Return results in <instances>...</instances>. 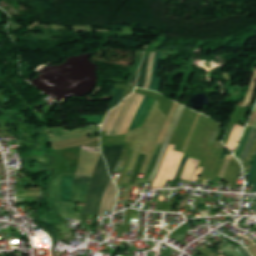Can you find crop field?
<instances>
[{"label": "crop field", "mask_w": 256, "mask_h": 256, "mask_svg": "<svg viewBox=\"0 0 256 256\" xmlns=\"http://www.w3.org/2000/svg\"><path fill=\"white\" fill-rule=\"evenodd\" d=\"M90 179L91 178L89 177L75 176L71 202L84 201ZM109 181L110 178L107 174L106 163L101 155L94 170L84 201L87 205L83 208L82 213L98 216L102 196Z\"/></svg>", "instance_id": "crop-field-1"}, {"label": "crop field", "mask_w": 256, "mask_h": 256, "mask_svg": "<svg viewBox=\"0 0 256 256\" xmlns=\"http://www.w3.org/2000/svg\"><path fill=\"white\" fill-rule=\"evenodd\" d=\"M143 97L142 95L134 93L117 108L109 112L102 127V130L107 131L106 135H121L127 133Z\"/></svg>", "instance_id": "crop-field-2"}, {"label": "crop field", "mask_w": 256, "mask_h": 256, "mask_svg": "<svg viewBox=\"0 0 256 256\" xmlns=\"http://www.w3.org/2000/svg\"><path fill=\"white\" fill-rule=\"evenodd\" d=\"M60 187H61V176H58L51 182V188H50V198H51V201L54 203L58 213L60 214L61 218L79 219L80 214L75 212L73 204L61 203Z\"/></svg>", "instance_id": "crop-field-3"}, {"label": "crop field", "mask_w": 256, "mask_h": 256, "mask_svg": "<svg viewBox=\"0 0 256 256\" xmlns=\"http://www.w3.org/2000/svg\"><path fill=\"white\" fill-rule=\"evenodd\" d=\"M117 190L116 187L111 180L104 196H103V201L101 205V210L99 215H103V213L108 210V211H113L114 204H115V198H116Z\"/></svg>", "instance_id": "crop-field-4"}, {"label": "crop field", "mask_w": 256, "mask_h": 256, "mask_svg": "<svg viewBox=\"0 0 256 256\" xmlns=\"http://www.w3.org/2000/svg\"><path fill=\"white\" fill-rule=\"evenodd\" d=\"M123 146H113V147H105L103 155L108 163L109 173L112 176V173L118 163L119 157L121 155Z\"/></svg>", "instance_id": "crop-field-5"}, {"label": "crop field", "mask_w": 256, "mask_h": 256, "mask_svg": "<svg viewBox=\"0 0 256 256\" xmlns=\"http://www.w3.org/2000/svg\"><path fill=\"white\" fill-rule=\"evenodd\" d=\"M162 54L163 53H156L154 67H153L152 80H151V84H150V88H149L150 90L157 91V92L160 91V87H161V83H162V79H157Z\"/></svg>", "instance_id": "crop-field-6"}, {"label": "crop field", "mask_w": 256, "mask_h": 256, "mask_svg": "<svg viewBox=\"0 0 256 256\" xmlns=\"http://www.w3.org/2000/svg\"><path fill=\"white\" fill-rule=\"evenodd\" d=\"M73 178H62V201L70 202L71 200Z\"/></svg>", "instance_id": "crop-field-7"}, {"label": "crop field", "mask_w": 256, "mask_h": 256, "mask_svg": "<svg viewBox=\"0 0 256 256\" xmlns=\"http://www.w3.org/2000/svg\"><path fill=\"white\" fill-rule=\"evenodd\" d=\"M255 136H256V129L253 128L250 135H249L246 146H245V148H244V150H243V152H242V154L239 158L242 165H243V163H244V161H245V159H246V157H247V155H248V153H249V151L252 147V143H253V140H254Z\"/></svg>", "instance_id": "crop-field-8"}, {"label": "crop field", "mask_w": 256, "mask_h": 256, "mask_svg": "<svg viewBox=\"0 0 256 256\" xmlns=\"http://www.w3.org/2000/svg\"><path fill=\"white\" fill-rule=\"evenodd\" d=\"M148 57H149V53H145V58H144V61L142 63V66H141L137 87H141L142 88L143 85H144L146 69H147V65H148Z\"/></svg>", "instance_id": "crop-field-9"}, {"label": "crop field", "mask_w": 256, "mask_h": 256, "mask_svg": "<svg viewBox=\"0 0 256 256\" xmlns=\"http://www.w3.org/2000/svg\"><path fill=\"white\" fill-rule=\"evenodd\" d=\"M161 145H162V144H159V145L156 146L154 155H153V157H152V159H151V162H150V164H149V167H148V169H147V172H146V174H145V176H144V179H143V182H142V183H146V182H147V180H148V178H149V176H150V174H151V171H152V169H153V167H154V165H155V163H156L157 156H158L159 150H160V148H161Z\"/></svg>", "instance_id": "crop-field-10"}, {"label": "crop field", "mask_w": 256, "mask_h": 256, "mask_svg": "<svg viewBox=\"0 0 256 256\" xmlns=\"http://www.w3.org/2000/svg\"><path fill=\"white\" fill-rule=\"evenodd\" d=\"M142 56H143V53H138L134 68L131 73V79H130L129 85L135 86V81H136V77H137V73H138L140 63H141Z\"/></svg>", "instance_id": "crop-field-11"}, {"label": "crop field", "mask_w": 256, "mask_h": 256, "mask_svg": "<svg viewBox=\"0 0 256 256\" xmlns=\"http://www.w3.org/2000/svg\"><path fill=\"white\" fill-rule=\"evenodd\" d=\"M123 91L124 90H122V89H115L113 99L107 109V112L109 110H111L113 107L117 106L122 101ZM107 112H106V114H107Z\"/></svg>", "instance_id": "crop-field-12"}, {"label": "crop field", "mask_w": 256, "mask_h": 256, "mask_svg": "<svg viewBox=\"0 0 256 256\" xmlns=\"http://www.w3.org/2000/svg\"><path fill=\"white\" fill-rule=\"evenodd\" d=\"M148 100H149L148 98H146V97L144 98V100H143V102H142V104H141V106H140V108H139V110H138V112H137L129 130H134L135 129V127H136V125H137V123H138L146 105H147Z\"/></svg>", "instance_id": "crop-field-13"}, {"label": "crop field", "mask_w": 256, "mask_h": 256, "mask_svg": "<svg viewBox=\"0 0 256 256\" xmlns=\"http://www.w3.org/2000/svg\"><path fill=\"white\" fill-rule=\"evenodd\" d=\"M154 55H155V52L150 53L149 65H148L147 76H146V82H145V85L143 87V88H146V89L149 88V84H150Z\"/></svg>", "instance_id": "crop-field-14"}, {"label": "crop field", "mask_w": 256, "mask_h": 256, "mask_svg": "<svg viewBox=\"0 0 256 256\" xmlns=\"http://www.w3.org/2000/svg\"><path fill=\"white\" fill-rule=\"evenodd\" d=\"M255 89H256V72L254 73V76H253V79H252V82L250 85V89H249V94H248V97H247L246 101L244 102L243 106L249 105V103L254 95Z\"/></svg>", "instance_id": "crop-field-15"}, {"label": "crop field", "mask_w": 256, "mask_h": 256, "mask_svg": "<svg viewBox=\"0 0 256 256\" xmlns=\"http://www.w3.org/2000/svg\"><path fill=\"white\" fill-rule=\"evenodd\" d=\"M250 129H251L250 127H247V129H246V131H245V133L243 135V138H242V140H241V142L239 144V147H238L237 151L234 154L236 156V158L239 157L240 153L242 152V150H243V148L245 146V143H246L247 137L249 135Z\"/></svg>", "instance_id": "crop-field-16"}, {"label": "crop field", "mask_w": 256, "mask_h": 256, "mask_svg": "<svg viewBox=\"0 0 256 256\" xmlns=\"http://www.w3.org/2000/svg\"><path fill=\"white\" fill-rule=\"evenodd\" d=\"M232 247L233 245L226 243V245L219 250L223 251L228 256H240Z\"/></svg>", "instance_id": "crop-field-17"}, {"label": "crop field", "mask_w": 256, "mask_h": 256, "mask_svg": "<svg viewBox=\"0 0 256 256\" xmlns=\"http://www.w3.org/2000/svg\"><path fill=\"white\" fill-rule=\"evenodd\" d=\"M187 159H188V158H187L186 156H184L183 161H182V163H181V166H180V168H179V171H178V173H177V175H176V177H175V179H174V181H173V183H172V185H171L170 188H175V186H176V184H177V182H178V180H179V178H180V176H181V174H182V171H183V169H184V166H185V164H186Z\"/></svg>", "instance_id": "crop-field-18"}, {"label": "crop field", "mask_w": 256, "mask_h": 256, "mask_svg": "<svg viewBox=\"0 0 256 256\" xmlns=\"http://www.w3.org/2000/svg\"><path fill=\"white\" fill-rule=\"evenodd\" d=\"M153 103H154V100L151 99L150 102H149V104H148V106L146 107V109H145V111H144V113H143L141 119H140V122H139L137 128H139V127L142 126V124H143V122H144V120H145L147 114L149 113V111H150V109H151Z\"/></svg>", "instance_id": "crop-field-19"}, {"label": "crop field", "mask_w": 256, "mask_h": 256, "mask_svg": "<svg viewBox=\"0 0 256 256\" xmlns=\"http://www.w3.org/2000/svg\"><path fill=\"white\" fill-rule=\"evenodd\" d=\"M88 122L100 123L102 124L105 116H91V117H83Z\"/></svg>", "instance_id": "crop-field-20"}, {"label": "crop field", "mask_w": 256, "mask_h": 256, "mask_svg": "<svg viewBox=\"0 0 256 256\" xmlns=\"http://www.w3.org/2000/svg\"><path fill=\"white\" fill-rule=\"evenodd\" d=\"M255 169H256V159H255L254 166H253V168H252V170H251L250 178H249V181H248V184H247L246 187H250V184H251V182H252V178H253Z\"/></svg>", "instance_id": "crop-field-21"}, {"label": "crop field", "mask_w": 256, "mask_h": 256, "mask_svg": "<svg viewBox=\"0 0 256 256\" xmlns=\"http://www.w3.org/2000/svg\"><path fill=\"white\" fill-rule=\"evenodd\" d=\"M239 249L243 252L245 256H250V254L246 251V249L240 245Z\"/></svg>", "instance_id": "crop-field-22"}, {"label": "crop field", "mask_w": 256, "mask_h": 256, "mask_svg": "<svg viewBox=\"0 0 256 256\" xmlns=\"http://www.w3.org/2000/svg\"><path fill=\"white\" fill-rule=\"evenodd\" d=\"M0 172H6L4 164H0Z\"/></svg>", "instance_id": "crop-field-23"}, {"label": "crop field", "mask_w": 256, "mask_h": 256, "mask_svg": "<svg viewBox=\"0 0 256 256\" xmlns=\"http://www.w3.org/2000/svg\"><path fill=\"white\" fill-rule=\"evenodd\" d=\"M255 182H256V172H255V175H254V178H253V182H252V184L254 185V184H255Z\"/></svg>", "instance_id": "crop-field-24"}, {"label": "crop field", "mask_w": 256, "mask_h": 256, "mask_svg": "<svg viewBox=\"0 0 256 256\" xmlns=\"http://www.w3.org/2000/svg\"><path fill=\"white\" fill-rule=\"evenodd\" d=\"M211 251H213V252H215V253H217L218 255L219 254H221V253H219V252H217V251H215V250H212V249H210ZM224 256H226L224 253H222Z\"/></svg>", "instance_id": "crop-field-25"}, {"label": "crop field", "mask_w": 256, "mask_h": 256, "mask_svg": "<svg viewBox=\"0 0 256 256\" xmlns=\"http://www.w3.org/2000/svg\"><path fill=\"white\" fill-rule=\"evenodd\" d=\"M234 248L240 253L241 256H243V255L241 254V252H240L235 246H234Z\"/></svg>", "instance_id": "crop-field-26"}, {"label": "crop field", "mask_w": 256, "mask_h": 256, "mask_svg": "<svg viewBox=\"0 0 256 256\" xmlns=\"http://www.w3.org/2000/svg\"><path fill=\"white\" fill-rule=\"evenodd\" d=\"M252 192H256V185H255V187H254V189H253V191Z\"/></svg>", "instance_id": "crop-field-27"}, {"label": "crop field", "mask_w": 256, "mask_h": 256, "mask_svg": "<svg viewBox=\"0 0 256 256\" xmlns=\"http://www.w3.org/2000/svg\"><path fill=\"white\" fill-rule=\"evenodd\" d=\"M219 256H223V255L221 254V255H219Z\"/></svg>", "instance_id": "crop-field-28"}, {"label": "crop field", "mask_w": 256, "mask_h": 256, "mask_svg": "<svg viewBox=\"0 0 256 256\" xmlns=\"http://www.w3.org/2000/svg\"><path fill=\"white\" fill-rule=\"evenodd\" d=\"M215 256H217V255H215Z\"/></svg>", "instance_id": "crop-field-29"}]
</instances>
